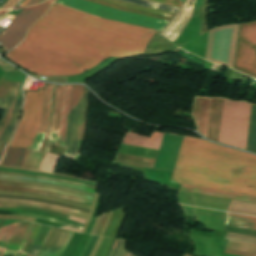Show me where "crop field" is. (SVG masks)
Segmentation results:
<instances>
[{
	"instance_id": "1",
	"label": "crop field",
	"mask_w": 256,
	"mask_h": 256,
	"mask_svg": "<svg viewBox=\"0 0 256 256\" xmlns=\"http://www.w3.org/2000/svg\"><path fill=\"white\" fill-rule=\"evenodd\" d=\"M155 32L53 3L27 38L5 56L41 76L74 75L108 57L142 55Z\"/></svg>"
},
{
	"instance_id": "2",
	"label": "crop field",
	"mask_w": 256,
	"mask_h": 256,
	"mask_svg": "<svg viewBox=\"0 0 256 256\" xmlns=\"http://www.w3.org/2000/svg\"><path fill=\"white\" fill-rule=\"evenodd\" d=\"M170 182L256 196V156L184 136Z\"/></svg>"
},
{
	"instance_id": "3",
	"label": "crop field",
	"mask_w": 256,
	"mask_h": 256,
	"mask_svg": "<svg viewBox=\"0 0 256 256\" xmlns=\"http://www.w3.org/2000/svg\"><path fill=\"white\" fill-rule=\"evenodd\" d=\"M55 3L69 6L95 16L118 20L153 29L161 30L163 26L168 23V21L135 15L124 11L89 3L84 0H58ZM158 33L159 31H157L149 41L144 55L163 53L177 46L169 40L157 35Z\"/></svg>"
},
{
	"instance_id": "4",
	"label": "crop field",
	"mask_w": 256,
	"mask_h": 256,
	"mask_svg": "<svg viewBox=\"0 0 256 256\" xmlns=\"http://www.w3.org/2000/svg\"><path fill=\"white\" fill-rule=\"evenodd\" d=\"M251 105L225 100L218 142L245 150Z\"/></svg>"
},
{
	"instance_id": "5",
	"label": "crop field",
	"mask_w": 256,
	"mask_h": 256,
	"mask_svg": "<svg viewBox=\"0 0 256 256\" xmlns=\"http://www.w3.org/2000/svg\"><path fill=\"white\" fill-rule=\"evenodd\" d=\"M46 84H39V92L27 91L22 118L8 146L30 148L40 124Z\"/></svg>"
},
{
	"instance_id": "6",
	"label": "crop field",
	"mask_w": 256,
	"mask_h": 256,
	"mask_svg": "<svg viewBox=\"0 0 256 256\" xmlns=\"http://www.w3.org/2000/svg\"><path fill=\"white\" fill-rule=\"evenodd\" d=\"M83 86L72 85L71 106L70 112L77 105L82 97ZM89 90L84 86V95L79 101L76 108L69 114L67 139H66V154L69 158L76 157L80 154L82 141L77 139L78 127L84 124L85 113L87 112ZM86 122V121H85ZM85 133V124L79 127L78 138L83 139Z\"/></svg>"
},
{
	"instance_id": "7",
	"label": "crop field",
	"mask_w": 256,
	"mask_h": 256,
	"mask_svg": "<svg viewBox=\"0 0 256 256\" xmlns=\"http://www.w3.org/2000/svg\"><path fill=\"white\" fill-rule=\"evenodd\" d=\"M51 1L24 8L0 34L1 49L6 52L22 41L26 30L46 12Z\"/></svg>"
},
{
	"instance_id": "8",
	"label": "crop field",
	"mask_w": 256,
	"mask_h": 256,
	"mask_svg": "<svg viewBox=\"0 0 256 256\" xmlns=\"http://www.w3.org/2000/svg\"><path fill=\"white\" fill-rule=\"evenodd\" d=\"M235 69L256 78V22L241 26Z\"/></svg>"
},
{
	"instance_id": "9",
	"label": "crop field",
	"mask_w": 256,
	"mask_h": 256,
	"mask_svg": "<svg viewBox=\"0 0 256 256\" xmlns=\"http://www.w3.org/2000/svg\"><path fill=\"white\" fill-rule=\"evenodd\" d=\"M0 189H9V190H18V191L45 194V195L85 202L89 204H92V201H93L92 196H88V195H84V194H80V193H76V192H72L64 189L52 188V187H46V186H40V185L0 181Z\"/></svg>"
},
{
	"instance_id": "10",
	"label": "crop field",
	"mask_w": 256,
	"mask_h": 256,
	"mask_svg": "<svg viewBox=\"0 0 256 256\" xmlns=\"http://www.w3.org/2000/svg\"><path fill=\"white\" fill-rule=\"evenodd\" d=\"M194 3L195 0H185L177 15L164 26L159 35L175 43L192 15Z\"/></svg>"
},
{
	"instance_id": "11",
	"label": "crop field",
	"mask_w": 256,
	"mask_h": 256,
	"mask_svg": "<svg viewBox=\"0 0 256 256\" xmlns=\"http://www.w3.org/2000/svg\"><path fill=\"white\" fill-rule=\"evenodd\" d=\"M73 232L52 227L38 256H61Z\"/></svg>"
},
{
	"instance_id": "12",
	"label": "crop field",
	"mask_w": 256,
	"mask_h": 256,
	"mask_svg": "<svg viewBox=\"0 0 256 256\" xmlns=\"http://www.w3.org/2000/svg\"><path fill=\"white\" fill-rule=\"evenodd\" d=\"M86 1L124 10V11L135 13V14L156 17V18H160L168 21L174 17V14L129 4L120 0H86Z\"/></svg>"
},
{
	"instance_id": "13",
	"label": "crop field",
	"mask_w": 256,
	"mask_h": 256,
	"mask_svg": "<svg viewBox=\"0 0 256 256\" xmlns=\"http://www.w3.org/2000/svg\"><path fill=\"white\" fill-rule=\"evenodd\" d=\"M223 99H212L207 138L216 141L221 117Z\"/></svg>"
},
{
	"instance_id": "14",
	"label": "crop field",
	"mask_w": 256,
	"mask_h": 256,
	"mask_svg": "<svg viewBox=\"0 0 256 256\" xmlns=\"http://www.w3.org/2000/svg\"><path fill=\"white\" fill-rule=\"evenodd\" d=\"M17 205L34 206V207L48 209V210H52V211H56V212H60L68 215L72 214L73 212L79 214L78 211L70 210V209L63 208L56 205L38 203V202H32V201H26V200L0 198V206L16 207Z\"/></svg>"
},
{
	"instance_id": "15",
	"label": "crop field",
	"mask_w": 256,
	"mask_h": 256,
	"mask_svg": "<svg viewBox=\"0 0 256 256\" xmlns=\"http://www.w3.org/2000/svg\"><path fill=\"white\" fill-rule=\"evenodd\" d=\"M163 133L152 132L151 138L129 132L124 142L151 148H159Z\"/></svg>"
},
{
	"instance_id": "16",
	"label": "crop field",
	"mask_w": 256,
	"mask_h": 256,
	"mask_svg": "<svg viewBox=\"0 0 256 256\" xmlns=\"http://www.w3.org/2000/svg\"><path fill=\"white\" fill-rule=\"evenodd\" d=\"M180 190L256 203L255 197L225 193L220 191H214V190H208V189H202V188H196V187H190V186H184V185L181 186Z\"/></svg>"
},
{
	"instance_id": "17",
	"label": "crop field",
	"mask_w": 256,
	"mask_h": 256,
	"mask_svg": "<svg viewBox=\"0 0 256 256\" xmlns=\"http://www.w3.org/2000/svg\"><path fill=\"white\" fill-rule=\"evenodd\" d=\"M225 225L256 230V218L226 213Z\"/></svg>"
},
{
	"instance_id": "18",
	"label": "crop field",
	"mask_w": 256,
	"mask_h": 256,
	"mask_svg": "<svg viewBox=\"0 0 256 256\" xmlns=\"http://www.w3.org/2000/svg\"><path fill=\"white\" fill-rule=\"evenodd\" d=\"M224 252L242 256H256V245L228 241Z\"/></svg>"
},
{
	"instance_id": "19",
	"label": "crop field",
	"mask_w": 256,
	"mask_h": 256,
	"mask_svg": "<svg viewBox=\"0 0 256 256\" xmlns=\"http://www.w3.org/2000/svg\"><path fill=\"white\" fill-rule=\"evenodd\" d=\"M65 89H66V85L65 86L56 85L54 113H53L52 123L61 124Z\"/></svg>"
},
{
	"instance_id": "20",
	"label": "crop field",
	"mask_w": 256,
	"mask_h": 256,
	"mask_svg": "<svg viewBox=\"0 0 256 256\" xmlns=\"http://www.w3.org/2000/svg\"><path fill=\"white\" fill-rule=\"evenodd\" d=\"M22 101H23V96L21 94L20 100H17L16 103H15V106L13 108L9 124L0 136V141H4V142L9 141V139H10L12 133H13L15 123H16L18 117H19V114H20Z\"/></svg>"
},
{
	"instance_id": "21",
	"label": "crop field",
	"mask_w": 256,
	"mask_h": 256,
	"mask_svg": "<svg viewBox=\"0 0 256 256\" xmlns=\"http://www.w3.org/2000/svg\"><path fill=\"white\" fill-rule=\"evenodd\" d=\"M246 150L256 153V106L254 105L251 108Z\"/></svg>"
},
{
	"instance_id": "22",
	"label": "crop field",
	"mask_w": 256,
	"mask_h": 256,
	"mask_svg": "<svg viewBox=\"0 0 256 256\" xmlns=\"http://www.w3.org/2000/svg\"><path fill=\"white\" fill-rule=\"evenodd\" d=\"M45 154V152L28 149L22 167L39 169Z\"/></svg>"
},
{
	"instance_id": "23",
	"label": "crop field",
	"mask_w": 256,
	"mask_h": 256,
	"mask_svg": "<svg viewBox=\"0 0 256 256\" xmlns=\"http://www.w3.org/2000/svg\"><path fill=\"white\" fill-rule=\"evenodd\" d=\"M211 99L202 98L198 132L206 136Z\"/></svg>"
},
{
	"instance_id": "24",
	"label": "crop field",
	"mask_w": 256,
	"mask_h": 256,
	"mask_svg": "<svg viewBox=\"0 0 256 256\" xmlns=\"http://www.w3.org/2000/svg\"><path fill=\"white\" fill-rule=\"evenodd\" d=\"M70 94H71V85H67L65 104H64V114H63L62 127H61V133H60V142H59V145L63 147H65L66 127H67V119H68V112H69V106H70Z\"/></svg>"
},
{
	"instance_id": "25",
	"label": "crop field",
	"mask_w": 256,
	"mask_h": 256,
	"mask_svg": "<svg viewBox=\"0 0 256 256\" xmlns=\"http://www.w3.org/2000/svg\"><path fill=\"white\" fill-rule=\"evenodd\" d=\"M52 86L53 85L47 84L44 107H43V113H42V119H41V124H40V128H39V131L44 132V133L46 132L47 124H48Z\"/></svg>"
},
{
	"instance_id": "26",
	"label": "crop field",
	"mask_w": 256,
	"mask_h": 256,
	"mask_svg": "<svg viewBox=\"0 0 256 256\" xmlns=\"http://www.w3.org/2000/svg\"><path fill=\"white\" fill-rule=\"evenodd\" d=\"M28 225H29V222L19 223V225H18V227H17V229H16V231H15V233H14V235H13V237H12L8 247H7L8 250L17 251V249L20 245V241H21Z\"/></svg>"
},
{
	"instance_id": "27",
	"label": "crop field",
	"mask_w": 256,
	"mask_h": 256,
	"mask_svg": "<svg viewBox=\"0 0 256 256\" xmlns=\"http://www.w3.org/2000/svg\"><path fill=\"white\" fill-rule=\"evenodd\" d=\"M40 225L39 224H33L31 223L22 242L21 245L18 249V251H24V252H28L30 245L39 229Z\"/></svg>"
},
{
	"instance_id": "28",
	"label": "crop field",
	"mask_w": 256,
	"mask_h": 256,
	"mask_svg": "<svg viewBox=\"0 0 256 256\" xmlns=\"http://www.w3.org/2000/svg\"><path fill=\"white\" fill-rule=\"evenodd\" d=\"M123 1L141 5V6H145V7H149V8L163 10V11H167V12H171V13H175V14H176L177 10L179 9L177 7H171V6H167V5H163V4H159V3L146 1V0H123Z\"/></svg>"
},
{
	"instance_id": "29",
	"label": "crop field",
	"mask_w": 256,
	"mask_h": 256,
	"mask_svg": "<svg viewBox=\"0 0 256 256\" xmlns=\"http://www.w3.org/2000/svg\"><path fill=\"white\" fill-rule=\"evenodd\" d=\"M18 223L3 227L0 231V247L6 249Z\"/></svg>"
},
{
	"instance_id": "30",
	"label": "crop field",
	"mask_w": 256,
	"mask_h": 256,
	"mask_svg": "<svg viewBox=\"0 0 256 256\" xmlns=\"http://www.w3.org/2000/svg\"><path fill=\"white\" fill-rule=\"evenodd\" d=\"M16 86H17V83H16V82H13L12 85H11L9 97H8V99H7V102H6V106H5L3 115H2V117H1V119H0V129H1V127L3 126V124H4L5 120H6V116H7L9 107H10L12 101H13V98H14Z\"/></svg>"
},
{
	"instance_id": "31",
	"label": "crop field",
	"mask_w": 256,
	"mask_h": 256,
	"mask_svg": "<svg viewBox=\"0 0 256 256\" xmlns=\"http://www.w3.org/2000/svg\"><path fill=\"white\" fill-rule=\"evenodd\" d=\"M224 239H231V240H237L242 242H248V243H254L256 244V237L254 236H248V235H242V234H236V233H230L227 232Z\"/></svg>"
},
{
	"instance_id": "32",
	"label": "crop field",
	"mask_w": 256,
	"mask_h": 256,
	"mask_svg": "<svg viewBox=\"0 0 256 256\" xmlns=\"http://www.w3.org/2000/svg\"><path fill=\"white\" fill-rule=\"evenodd\" d=\"M0 174L19 175V176H27V177H35V178L52 179V180H56V181H60V182H64V183H69V184H74V185H79V186H87V187H91V188H95L96 189L95 186L86 185V184H82V183H77V182H73V181L55 179V178H48V177H42V176L28 175V174H22V173H12V172H0Z\"/></svg>"
},
{
	"instance_id": "33",
	"label": "crop field",
	"mask_w": 256,
	"mask_h": 256,
	"mask_svg": "<svg viewBox=\"0 0 256 256\" xmlns=\"http://www.w3.org/2000/svg\"><path fill=\"white\" fill-rule=\"evenodd\" d=\"M51 227L50 226H44L42 225L33 244L34 245H39L42 246L46 236L48 235L49 231H50Z\"/></svg>"
},
{
	"instance_id": "34",
	"label": "crop field",
	"mask_w": 256,
	"mask_h": 256,
	"mask_svg": "<svg viewBox=\"0 0 256 256\" xmlns=\"http://www.w3.org/2000/svg\"><path fill=\"white\" fill-rule=\"evenodd\" d=\"M27 149L18 148L11 166L21 167Z\"/></svg>"
},
{
	"instance_id": "35",
	"label": "crop field",
	"mask_w": 256,
	"mask_h": 256,
	"mask_svg": "<svg viewBox=\"0 0 256 256\" xmlns=\"http://www.w3.org/2000/svg\"><path fill=\"white\" fill-rule=\"evenodd\" d=\"M16 149L17 148H7L6 149V153H5V156L1 162L2 165H8L10 166L11 165V162L13 160V157H14V154L16 152Z\"/></svg>"
},
{
	"instance_id": "36",
	"label": "crop field",
	"mask_w": 256,
	"mask_h": 256,
	"mask_svg": "<svg viewBox=\"0 0 256 256\" xmlns=\"http://www.w3.org/2000/svg\"><path fill=\"white\" fill-rule=\"evenodd\" d=\"M200 101L201 98H196L194 102V108H193V117L196 121V125L198 124V116H199V109H200Z\"/></svg>"
},
{
	"instance_id": "37",
	"label": "crop field",
	"mask_w": 256,
	"mask_h": 256,
	"mask_svg": "<svg viewBox=\"0 0 256 256\" xmlns=\"http://www.w3.org/2000/svg\"><path fill=\"white\" fill-rule=\"evenodd\" d=\"M0 218H7V219H16V220H29L34 221L35 218H29L25 216H9V215H0Z\"/></svg>"
},
{
	"instance_id": "38",
	"label": "crop field",
	"mask_w": 256,
	"mask_h": 256,
	"mask_svg": "<svg viewBox=\"0 0 256 256\" xmlns=\"http://www.w3.org/2000/svg\"><path fill=\"white\" fill-rule=\"evenodd\" d=\"M150 1L159 2V3H163V4H167V5H171V6H177V7H181L180 4H183L182 1H178V0H167V1L176 2V3H180V4L171 3V2L162 1V0H150Z\"/></svg>"
},
{
	"instance_id": "39",
	"label": "crop field",
	"mask_w": 256,
	"mask_h": 256,
	"mask_svg": "<svg viewBox=\"0 0 256 256\" xmlns=\"http://www.w3.org/2000/svg\"><path fill=\"white\" fill-rule=\"evenodd\" d=\"M19 85H20V83H18L17 90H16V94H15V98H14V101H13V103H12L11 107H10V111H9L8 119H7L6 123L4 124V126L2 127V129H1V131H0V134H1V133H2V131L5 129V127H6L7 123H8V121H9V118H10V115H11L12 108H13L14 103H15V101H16V97H17V93H18Z\"/></svg>"
},
{
	"instance_id": "40",
	"label": "crop field",
	"mask_w": 256,
	"mask_h": 256,
	"mask_svg": "<svg viewBox=\"0 0 256 256\" xmlns=\"http://www.w3.org/2000/svg\"><path fill=\"white\" fill-rule=\"evenodd\" d=\"M92 238H93V236L89 235V237H88V239H87V241H86V243H85L83 249L81 250L79 256H84V254H85V252H86V250H87V248H88V246H89V244H90Z\"/></svg>"
},
{
	"instance_id": "41",
	"label": "crop field",
	"mask_w": 256,
	"mask_h": 256,
	"mask_svg": "<svg viewBox=\"0 0 256 256\" xmlns=\"http://www.w3.org/2000/svg\"><path fill=\"white\" fill-rule=\"evenodd\" d=\"M39 249H40L39 246L32 245L28 253L36 256V254L39 251Z\"/></svg>"
},
{
	"instance_id": "42",
	"label": "crop field",
	"mask_w": 256,
	"mask_h": 256,
	"mask_svg": "<svg viewBox=\"0 0 256 256\" xmlns=\"http://www.w3.org/2000/svg\"><path fill=\"white\" fill-rule=\"evenodd\" d=\"M17 1L18 0H8V2L1 9L13 7L17 3Z\"/></svg>"
},
{
	"instance_id": "43",
	"label": "crop field",
	"mask_w": 256,
	"mask_h": 256,
	"mask_svg": "<svg viewBox=\"0 0 256 256\" xmlns=\"http://www.w3.org/2000/svg\"><path fill=\"white\" fill-rule=\"evenodd\" d=\"M97 238H98L97 236L94 237V239H93V241H92V243H91V245H90V247H89V249H88V251H87L85 256H89L90 255V253H91V251H92V249H93V247L95 245V242H96Z\"/></svg>"
},
{
	"instance_id": "44",
	"label": "crop field",
	"mask_w": 256,
	"mask_h": 256,
	"mask_svg": "<svg viewBox=\"0 0 256 256\" xmlns=\"http://www.w3.org/2000/svg\"><path fill=\"white\" fill-rule=\"evenodd\" d=\"M120 210L121 209H119L118 211H117V214H116V216H115V219H114V222H113V224H112V227H111V229H110V231H109V233H108V237L110 236V233H111V231H112V228H113V226H114V224H115V221H116V219H117V217H118V215H119V213H120Z\"/></svg>"
},
{
	"instance_id": "45",
	"label": "crop field",
	"mask_w": 256,
	"mask_h": 256,
	"mask_svg": "<svg viewBox=\"0 0 256 256\" xmlns=\"http://www.w3.org/2000/svg\"><path fill=\"white\" fill-rule=\"evenodd\" d=\"M40 0H31L27 5L35 4L38 3ZM26 5V6H27Z\"/></svg>"
},
{
	"instance_id": "46",
	"label": "crop field",
	"mask_w": 256,
	"mask_h": 256,
	"mask_svg": "<svg viewBox=\"0 0 256 256\" xmlns=\"http://www.w3.org/2000/svg\"><path fill=\"white\" fill-rule=\"evenodd\" d=\"M5 102H6V100H4V99H0V106H5Z\"/></svg>"
},
{
	"instance_id": "47",
	"label": "crop field",
	"mask_w": 256,
	"mask_h": 256,
	"mask_svg": "<svg viewBox=\"0 0 256 256\" xmlns=\"http://www.w3.org/2000/svg\"><path fill=\"white\" fill-rule=\"evenodd\" d=\"M28 2H29V0H25V1L21 4L20 7L25 6Z\"/></svg>"
},
{
	"instance_id": "48",
	"label": "crop field",
	"mask_w": 256,
	"mask_h": 256,
	"mask_svg": "<svg viewBox=\"0 0 256 256\" xmlns=\"http://www.w3.org/2000/svg\"><path fill=\"white\" fill-rule=\"evenodd\" d=\"M8 10H9V9H8ZM8 10H2V11H0V15L7 13Z\"/></svg>"
},
{
	"instance_id": "49",
	"label": "crop field",
	"mask_w": 256,
	"mask_h": 256,
	"mask_svg": "<svg viewBox=\"0 0 256 256\" xmlns=\"http://www.w3.org/2000/svg\"><path fill=\"white\" fill-rule=\"evenodd\" d=\"M5 250L0 249V256H2V254L4 253Z\"/></svg>"
},
{
	"instance_id": "50",
	"label": "crop field",
	"mask_w": 256,
	"mask_h": 256,
	"mask_svg": "<svg viewBox=\"0 0 256 256\" xmlns=\"http://www.w3.org/2000/svg\"><path fill=\"white\" fill-rule=\"evenodd\" d=\"M19 255H20V253H16V254H15V256H19Z\"/></svg>"
},
{
	"instance_id": "51",
	"label": "crop field",
	"mask_w": 256,
	"mask_h": 256,
	"mask_svg": "<svg viewBox=\"0 0 256 256\" xmlns=\"http://www.w3.org/2000/svg\"><path fill=\"white\" fill-rule=\"evenodd\" d=\"M20 256H25V254L21 253V255H20Z\"/></svg>"
},
{
	"instance_id": "52",
	"label": "crop field",
	"mask_w": 256,
	"mask_h": 256,
	"mask_svg": "<svg viewBox=\"0 0 256 256\" xmlns=\"http://www.w3.org/2000/svg\"><path fill=\"white\" fill-rule=\"evenodd\" d=\"M3 107H0V109H2Z\"/></svg>"
},
{
	"instance_id": "53",
	"label": "crop field",
	"mask_w": 256,
	"mask_h": 256,
	"mask_svg": "<svg viewBox=\"0 0 256 256\" xmlns=\"http://www.w3.org/2000/svg\"><path fill=\"white\" fill-rule=\"evenodd\" d=\"M41 1H44V0H41ZM41 1H40V2H41Z\"/></svg>"
},
{
	"instance_id": "54",
	"label": "crop field",
	"mask_w": 256,
	"mask_h": 256,
	"mask_svg": "<svg viewBox=\"0 0 256 256\" xmlns=\"http://www.w3.org/2000/svg\"><path fill=\"white\" fill-rule=\"evenodd\" d=\"M5 167V166H4ZM14 168H16V167H14ZM25 169V168H24Z\"/></svg>"
},
{
	"instance_id": "55",
	"label": "crop field",
	"mask_w": 256,
	"mask_h": 256,
	"mask_svg": "<svg viewBox=\"0 0 256 256\" xmlns=\"http://www.w3.org/2000/svg\"><path fill=\"white\" fill-rule=\"evenodd\" d=\"M28 256V255H27Z\"/></svg>"
}]
</instances>
